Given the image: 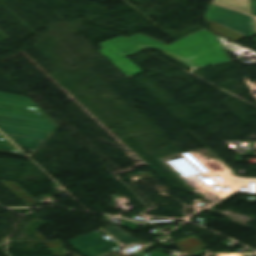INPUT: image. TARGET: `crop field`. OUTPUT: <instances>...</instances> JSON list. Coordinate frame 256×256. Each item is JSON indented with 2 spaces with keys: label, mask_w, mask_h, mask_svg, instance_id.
<instances>
[{
  "label": "crop field",
  "mask_w": 256,
  "mask_h": 256,
  "mask_svg": "<svg viewBox=\"0 0 256 256\" xmlns=\"http://www.w3.org/2000/svg\"><path fill=\"white\" fill-rule=\"evenodd\" d=\"M208 27L211 28L214 31V33H217L221 36H224V37L229 38L236 42H238L239 40H241L245 37L244 35H240L239 33L235 32L231 29L225 28L223 26H220L216 23H213V24L209 25Z\"/></svg>",
  "instance_id": "e52e79f7"
},
{
  "label": "crop field",
  "mask_w": 256,
  "mask_h": 256,
  "mask_svg": "<svg viewBox=\"0 0 256 256\" xmlns=\"http://www.w3.org/2000/svg\"><path fill=\"white\" fill-rule=\"evenodd\" d=\"M253 19H254V23H255V27H256V18L253 17ZM255 32H256V31H255Z\"/></svg>",
  "instance_id": "22f410ed"
},
{
  "label": "crop field",
  "mask_w": 256,
  "mask_h": 256,
  "mask_svg": "<svg viewBox=\"0 0 256 256\" xmlns=\"http://www.w3.org/2000/svg\"><path fill=\"white\" fill-rule=\"evenodd\" d=\"M252 14L256 16V0H250Z\"/></svg>",
  "instance_id": "3316defc"
},
{
  "label": "crop field",
  "mask_w": 256,
  "mask_h": 256,
  "mask_svg": "<svg viewBox=\"0 0 256 256\" xmlns=\"http://www.w3.org/2000/svg\"><path fill=\"white\" fill-rule=\"evenodd\" d=\"M213 3L251 14L249 0H213Z\"/></svg>",
  "instance_id": "dd49c442"
},
{
  "label": "crop field",
  "mask_w": 256,
  "mask_h": 256,
  "mask_svg": "<svg viewBox=\"0 0 256 256\" xmlns=\"http://www.w3.org/2000/svg\"><path fill=\"white\" fill-rule=\"evenodd\" d=\"M97 231L67 240L82 256H98L119 248L110 240H106Z\"/></svg>",
  "instance_id": "f4fd0767"
},
{
  "label": "crop field",
  "mask_w": 256,
  "mask_h": 256,
  "mask_svg": "<svg viewBox=\"0 0 256 256\" xmlns=\"http://www.w3.org/2000/svg\"><path fill=\"white\" fill-rule=\"evenodd\" d=\"M107 232L110 233L113 237H115L120 242H123L126 244L135 243L139 240V239H136V238L132 237L131 235L127 234L126 232H124L122 229H120L117 226H115L114 228H112L111 230H109Z\"/></svg>",
  "instance_id": "d8731c3e"
},
{
  "label": "crop field",
  "mask_w": 256,
  "mask_h": 256,
  "mask_svg": "<svg viewBox=\"0 0 256 256\" xmlns=\"http://www.w3.org/2000/svg\"><path fill=\"white\" fill-rule=\"evenodd\" d=\"M0 148L21 152L9 140H7L1 133H0Z\"/></svg>",
  "instance_id": "5a996713"
},
{
  "label": "crop field",
  "mask_w": 256,
  "mask_h": 256,
  "mask_svg": "<svg viewBox=\"0 0 256 256\" xmlns=\"http://www.w3.org/2000/svg\"><path fill=\"white\" fill-rule=\"evenodd\" d=\"M103 46L102 52L113 63H115L128 77H131L141 70L137 68L131 61L125 56L135 53L139 50L151 48L145 44L135 46L123 37L119 36L110 41H104L101 43Z\"/></svg>",
  "instance_id": "34b2d1b8"
},
{
  "label": "crop field",
  "mask_w": 256,
  "mask_h": 256,
  "mask_svg": "<svg viewBox=\"0 0 256 256\" xmlns=\"http://www.w3.org/2000/svg\"><path fill=\"white\" fill-rule=\"evenodd\" d=\"M205 18L231 28L247 37L256 34L251 16L223 8L221 6L210 4Z\"/></svg>",
  "instance_id": "412701ff"
},
{
  "label": "crop field",
  "mask_w": 256,
  "mask_h": 256,
  "mask_svg": "<svg viewBox=\"0 0 256 256\" xmlns=\"http://www.w3.org/2000/svg\"><path fill=\"white\" fill-rule=\"evenodd\" d=\"M256 41V39H254Z\"/></svg>",
  "instance_id": "cbeb9de0"
},
{
  "label": "crop field",
  "mask_w": 256,
  "mask_h": 256,
  "mask_svg": "<svg viewBox=\"0 0 256 256\" xmlns=\"http://www.w3.org/2000/svg\"><path fill=\"white\" fill-rule=\"evenodd\" d=\"M121 36H123V35H121ZM124 38H126L125 36H123ZM127 39V38H126ZM127 40H129L130 42H132L133 44H135V45H137V44H142V43H140V42H138V41H135V40H133V39H131V38H129V39H127Z\"/></svg>",
  "instance_id": "d1516ede"
},
{
  "label": "crop field",
  "mask_w": 256,
  "mask_h": 256,
  "mask_svg": "<svg viewBox=\"0 0 256 256\" xmlns=\"http://www.w3.org/2000/svg\"><path fill=\"white\" fill-rule=\"evenodd\" d=\"M147 256H168L166 254H162V253H159L155 250H153L150 254H148Z\"/></svg>",
  "instance_id": "28ad6ade"
},
{
  "label": "crop field",
  "mask_w": 256,
  "mask_h": 256,
  "mask_svg": "<svg viewBox=\"0 0 256 256\" xmlns=\"http://www.w3.org/2000/svg\"><path fill=\"white\" fill-rule=\"evenodd\" d=\"M131 38L160 49L191 68L230 61L214 34L205 29L169 46L142 34Z\"/></svg>",
  "instance_id": "8a807250"
},
{
  "label": "crop field",
  "mask_w": 256,
  "mask_h": 256,
  "mask_svg": "<svg viewBox=\"0 0 256 256\" xmlns=\"http://www.w3.org/2000/svg\"><path fill=\"white\" fill-rule=\"evenodd\" d=\"M0 106L45 114L30 98L0 93ZM57 127L0 115V130L19 147L35 150Z\"/></svg>",
  "instance_id": "ac0d7876"
}]
</instances>
